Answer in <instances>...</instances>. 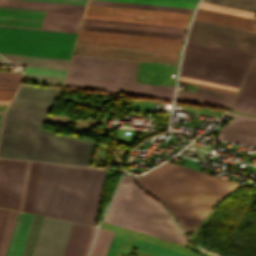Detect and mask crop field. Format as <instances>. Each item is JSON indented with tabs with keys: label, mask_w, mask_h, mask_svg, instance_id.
<instances>
[{
	"label": "crop field",
	"mask_w": 256,
	"mask_h": 256,
	"mask_svg": "<svg viewBox=\"0 0 256 256\" xmlns=\"http://www.w3.org/2000/svg\"><path fill=\"white\" fill-rule=\"evenodd\" d=\"M130 23V22H129ZM151 25V24H150ZM172 27V26H171ZM182 28V27H181Z\"/></svg>",
	"instance_id": "89e229c0"
},
{
	"label": "crop field",
	"mask_w": 256,
	"mask_h": 256,
	"mask_svg": "<svg viewBox=\"0 0 256 256\" xmlns=\"http://www.w3.org/2000/svg\"><path fill=\"white\" fill-rule=\"evenodd\" d=\"M253 57L187 41L180 75L239 87Z\"/></svg>",
	"instance_id": "dd49c442"
},
{
	"label": "crop field",
	"mask_w": 256,
	"mask_h": 256,
	"mask_svg": "<svg viewBox=\"0 0 256 256\" xmlns=\"http://www.w3.org/2000/svg\"><path fill=\"white\" fill-rule=\"evenodd\" d=\"M14 64L66 69L69 60L29 56L5 55Z\"/></svg>",
	"instance_id": "92a150f3"
},
{
	"label": "crop field",
	"mask_w": 256,
	"mask_h": 256,
	"mask_svg": "<svg viewBox=\"0 0 256 256\" xmlns=\"http://www.w3.org/2000/svg\"><path fill=\"white\" fill-rule=\"evenodd\" d=\"M95 229H96V227H94V226L91 227V231H90V234H89V237H88V241H87L83 256H86V254H87V251H88V248H89L90 242L92 240Z\"/></svg>",
	"instance_id": "5d738f31"
},
{
	"label": "crop field",
	"mask_w": 256,
	"mask_h": 256,
	"mask_svg": "<svg viewBox=\"0 0 256 256\" xmlns=\"http://www.w3.org/2000/svg\"><path fill=\"white\" fill-rule=\"evenodd\" d=\"M31 214H24L23 220H22V224L16 239V243L12 252L11 256H21V252L24 246V242L28 233V229L31 223V219H32Z\"/></svg>",
	"instance_id": "730fd06b"
},
{
	"label": "crop field",
	"mask_w": 256,
	"mask_h": 256,
	"mask_svg": "<svg viewBox=\"0 0 256 256\" xmlns=\"http://www.w3.org/2000/svg\"><path fill=\"white\" fill-rule=\"evenodd\" d=\"M59 93L21 85L5 115L0 156L90 166L95 142L41 129Z\"/></svg>",
	"instance_id": "8a807250"
},
{
	"label": "crop field",
	"mask_w": 256,
	"mask_h": 256,
	"mask_svg": "<svg viewBox=\"0 0 256 256\" xmlns=\"http://www.w3.org/2000/svg\"><path fill=\"white\" fill-rule=\"evenodd\" d=\"M179 79L196 82V83H201V84H206V85L215 86V87H220V88H225V89H230V90H235V91L238 90L237 87H232V86H227V85H222V84H217V83H212V82H207V81H202V80H197V79H192V78H187V77H182V76H180Z\"/></svg>",
	"instance_id": "b80d0937"
},
{
	"label": "crop field",
	"mask_w": 256,
	"mask_h": 256,
	"mask_svg": "<svg viewBox=\"0 0 256 256\" xmlns=\"http://www.w3.org/2000/svg\"><path fill=\"white\" fill-rule=\"evenodd\" d=\"M175 102L227 109L230 100L177 90Z\"/></svg>",
	"instance_id": "214f88e0"
},
{
	"label": "crop field",
	"mask_w": 256,
	"mask_h": 256,
	"mask_svg": "<svg viewBox=\"0 0 256 256\" xmlns=\"http://www.w3.org/2000/svg\"><path fill=\"white\" fill-rule=\"evenodd\" d=\"M203 1L256 12V0H203Z\"/></svg>",
	"instance_id": "d3111659"
},
{
	"label": "crop field",
	"mask_w": 256,
	"mask_h": 256,
	"mask_svg": "<svg viewBox=\"0 0 256 256\" xmlns=\"http://www.w3.org/2000/svg\"><path fill=\"white\" fill-rule=\"evenodd\" d=\"M194 93H200V94H205V95H210V96H216V97L226 98V99H230V100H232L233 97H234L233 94H228V93H224V92L204 89V88H200V87H198L197 91L194 92Z\"/></svg>",
	"instance_id": "e1f06a70"
},
{
	"label": "crop field",
	"mask_w": 256,
	"mask_h": 256,
	"mask_svg": "<svg viewBox=\"0 0 256 256\" xmlns=\"http://www.w3.org/2000/svg\"><path fill=\"white\" fill-rule=\"evenodd\" d=\"M194 19L256 32V22L253 19L206 9L199 8Z\"/></svg>",
	"instance_id": "733c2abd"
},
{
	"label": "crop field",
	"mask_w": 256,
	"mask_h": 256,
	"mask_svg": "<svg viewBox=\"0 0 256 256\" xmlns=\"http://www.w3.org/2000/svg\"><path fill=\"white\" fill-rule=\"evenodd\" d=\"M8 211L9 210H7V209L0 208V237H1V234H2V231L4 228V224H5V221L7 218Z\"/></svg>",
	"instance_id": "c035e120"
},
{
	"label": "crop field",
	"mask_w": 256,
	"mask_h": 256,
	"mask_svg": "<svg viewBox=\"0 0 256 256\" xmlns=\"http://www.w3.org/2000/svg\"><path fill=\"white\" fill-rule=\"evenodd\" d=\"M180 52L77 42L74 54L177 64Z\"/></svg>",
	"instance_id": "d1516ede"
},
{
	"label": "crop field",
	"mask_w": 256,
	"mask_h": 256,
	"mask_svg": "<svg viewBox=\"0 0 256 256\" xmlns=\"http://www.w3.org/2000/svg\"><path fill=\"white\" fill-rule=\"evenodd\" d=\"M90 227L44 217L33 256H82Z\"/></svg>",
	"instance_id": "d8731c3e"
},
{
	"label": "crop field",
	"mask_w": 256,
	"mask_h": 256,
	"mask_svg": "<svg viewBox=\"0 0 256 256\" xmlns=\"http://www.w3.org/2000/svg\"><path fill=\"white\" fill-rule=\"evenodd\" d=\"M9 101H0V104H8Z\"/></svg>",
	"instance_id": "425ffa30"
},
{
	"label": "crop field",
	"mask_w": 256,
	"mask_h": 256,
	"mask_svg": "<svg viewBox=\"0 0 256 256\" xmlns=\"http://www.w3.org/2000/svg\"><path fill=\"white\" fill-rule=\"evenodd\" d=\"M25 163L0 158V207L17 210Z\"/></svg>",
	"instance_id": "cbeb9de0"
},
{
	"label": "crop field",
	"mask_w": 256,
	"mask_h": 256,
	"mask_svg": "<svg viewBox=\"0 0 256 256\" xmlns=\"http://www.w3.org/2000/svg\"><path fill=\"white\" fill-rule=\"evenodd\" d=\"M105 171L41 163L32 213L95 225Z\"/></svg>",
	"instance_id": "34b2d1b8"
},
{
	"label": "crop field",
	"mask_w": 256,
	"mask_h": 256,
	"mask_svg": "<svg viewBox=\"0 0 256 256\" xmlns=\"http://www.w3.org/2000/svg\"><path fill=\"white\" fill-rule=\"evenodd\" d=\"M114 233L100 228L90 256H105Z\"/></svg>",
	"instance_id": "a9b5d70f"
},
{
	"label": "crop field",
	"mask_w": 256,
	"mask_h": 256,
	"mask_svg": "<svg viewBox=\"0 0 256 256\" xmlns=\"http://www.w3.org/2000/svg\"><path fill=\"white\" fill-rule=\"evenodd\" d=\"M2 116H3V113H0V127H1V122H2Z\"/></svg>",
	"instance_id": "25e5ab78"
},
{
	"label": "crop field",
	"mask_w": 256,
	"mask_h": 256,
	"mask_svg": "<svg viewBox=\"0 0 256 256\" xmlns=\"http://www.w3.org/2000/svg\"><path fill=\"white\" fill-rule=\"evenodd\" d=\"M23 214L24 213H21V212L18 213V217H17L16 223H15V227H14V230H13V233H12V237H11V240H10V243H9V247H8L6 256L11 255V252H12V249H13V246H14V243H15V239H16V236H17L20 224H21Z\"/></svg>",
	"instance_id": "028f5c9d"
},
{
	"label": "crop field",
	"mask_w": 256,
	"mask_h": 256,
	"mask_svg": "<svg viewBox=\"0 0 256 256\" xmlns=\"http://www.w3.org/2000/svg\"><path fill=\"white\" fill-rule=\"evenodd\" d=\"M136 181L170 210L184 232L193 233L213 206L242 185L169 162Z\"/></svg>",
	"instance_id": "ac0d7876"
},
{
	"label": "crop field",
	"mask_w": 256,
	"mask_h": 256,
	"mask_svg": "<svg viewBox=\"0 0 256 256\" xmlns=\"http://www.w3.org/2000/svg\"><path fill=\"white\" fill-rule=\"evenodd\" d=\"M87 3L102 4V5H113V6H123V7H134V8H144V9H155V10H165V11H176V12H186V13H191L192 10H193V9H188V8L146 5V4H136V3H125V2H115V1H104V0H88Z\"/></svg>",
	"instance_id": "dafd665d"
},
{
	"label": "crop field",
	"mask_w": 256,
	"mask_h": 256,
	"mask_svg": "<svg viewBox=\"0 0 256 256\" xmlns=\"http://www.w3.org/2000/svg\"><path fill=\"white\" fill-rule=\"evenodd\" d=\"M75 35L0 27V53L69 59Z\"/></svg>",
	"instance_id": "e52e79f7"
},
{
	"label": "crop field",
	"mask_w": 256,
	"mask_h": 256,
	"mask_svg": "<svg viewBox=\"0 0 256 256\" xmlns=\"http://www.w3.org/2000/svg\"><path fill=\"white\" fill-rule=\"evenodd\" d=\"M45 12L1 8L0 24L40 28ZM82 15L46 12L40 30L76 33ZM1 26V25H0ZM9 26V27H13ZM19 27V28H24ZM29 28V29H35Z\"/></svg>",
	"instance_id": "28ad6ade"
},
{
	"label": "crop field",
	"mask_w": 256,
	"mask_h": 256,
	"mask_svg": "<svg viewBox=\"0 0 256 256\" xmlns=\"http://www.w3.org/2000/svg\"><path fill=\"white\" fill-rule=\"evenodd\" d=\"M41 216H33L32 223L29 229V233L26 239V243L22 252V256H32L33 249L35 246V242L37 239V235L40 229V225L42 222Z\"/></svg>",
	"instance_id": "4177f3b9"
},
{
	"label": "crop field",
	"mask_w": 256,
	"mask_h": 256,
	"mask_svg": "<svg viewBox=\"0 0 256 256\" xmlns=\"http://www.w3.org/2000/svg\"><path fill=\"white\" fill-rule=\"evenodd\" d=\"M81 25L185 34L186 29L83 19Z\"/></svg>",
	"instance_id": "bc2a9ffb"
},
{
	"label": "crop field",
	"mask_w": 256,
	"mask_h": 256,
	"mask_svg": "<svg viewBox=\"0 0 256 256\" xmlns=\"http://www.w3.org/2000/svg\"><path fill=\"white\" fill-rule=\"evenodd\" d=\"M15 90H0V100H11Z\"/></svg>",
	"instance_id": "03da06ac"
},
{
	"label": "crop field",
	"mask_w": 256,
	"mask_h": 256,
	"mask_svg": "<svg viewBox=\"0 0 256 256\" xmlns=\"http://www.w3.org/2000/svg\"><path fill=\"white\" fill-rule=\"evenodd\" d=\"M199 7L210 9V10H215V11H220V12H225V13H229V14L244 16V17L253 18V19H255V15H256L255 12H250V11H245V10H240V9H235V8H229V7H224V6H219V5H214V4L204 3V2H201Z\"/></svg>",
	"instance_id": "bd1437ed"
},
{
	"label": "crop field",
	"mask_w": 256,
	"mask_h": 256,
	"mask_svg": "<svg viewBox=\"0 0 256 256\" xmlns=\"http://www.w3.org/2000/svg\"><path fill=\"white\" fill-rule=\"evenodd\" d=\"M4 59V58H3ZM2 58H0V64H9L8 62H6L5 60H3Z\"/></svg>",
	"instance_id": "d23c7cc5"
},
{
	"label": "crop field",
	"mask_w": 256,
	"mask_h": 256,
	"mask_svg": "<svg viewBox=\"0 0 256 256\" xmlns=\"http://www.w3.org/2000/svg\"><path fill=\"white\" fill-rule=\"evenodd\" d=\"M183 39L80 29L77 41L180 51Z\"/></svg>",
	"instance_id": "22f410ed"
},
{
	"label": "crop field",
	"mask_w": 256,
	"mask_h": 256,
	"mask_svg": "<svg viewBox=\"0 0 256 256\" xmlns=\"http://www.w3.org/2000/svg\"><path fill=\"white\" fill-rule=\"evenodd\" d=\"M25 72L64 76L66 70L26 66Z\"/></svg>",
	"instance_id": "5866460e"
},
{
	"label": "crop field",
	"mask_w": 256,
	"mask_h": 256,
	"mask_svg": "<svg viewBox=\"0 0 256 256\" xmlns=\"http://www.w3.org/2000/svg\"><path fill=\"white\" fill-rule=\"evenodd\" d=\"M137 64L72 55L64 87L172 101L174 87L134 83Z\"/></svg>",
	"instance_id": "412701ff"
},
{
	"label": "crop field",
	"mask_w": 256,
	"mask_h": 256,
	"mask_svg": "<svg viewBox=\"0 0 256 256\" xmlns=\"http://www.w3.org/2000/svg\"><path fill=\"white\" fill-rule=\"evenodd\" d=\"M135 247L139 250H142L157 256H188V255L174 252L172 250H169L160 246H156L141 240H139L136 243Z\"/></svg>",
	"instance_id": "ae1a2a85"
},
{
	"label": "crop field",
	"mask_w": 256,
	"mask_h": 256,
	"mask_svg": "<svg viewBox=\"0 0 256 256\" xmlns=\"http://www.w3.org/2000/svg\"><path fill=\"white\" fill-rule=\"evenodd\" d=\"M230 109L256 115V58Z\"/></svg>",
	"instance_id": "d9b57169"
},
{
	"label": "crop field",
	"mask_w": 256,
	"mask_h": 256,
	"mask_svg": "<svg viewBox=\"0 0 256 256\" xmlns=\"http://www.w3.org/2000/svg\"><path fill=\"white\" fill-rule=\"evenodd\" d=\"M80 28L95 29V30H106V31H116V32H126V33H137V34H147V35L168 36V37H178V38H183V36H184V35H179V34H167V33H156V32L132 31V30L109 29V28L86 27V26H81Z\"/></svg>",
	"instance_id": "120bbe31"
},
{
	"label": "crop field",
	"mask_w": 256,
	"mask_h": 256,
	"mask_svg": "<svg viewBox=\"0 0 256 256\" xmlns=\"http://www.w3.org/2000/svg\"><path fill=\"white\" fill-rule=\"evenodd\" d=\"M17 213L18 212L16 211H9L8 218L0 241V256H5L8 243L11 237V233L14 227V223L17 217Z\"/></svg>",
	"instance_id": "eef30255"
},
{
	"label": "crop field",
	"mask_w": 256,
	"mask_h": 256,
	"mask_svg": "<svg viewBox=\"0 0 256 256\" xmlns=\"http://www.w3.org/2000/svg\"><path fill=\"white\" fill-rule=\"evenodd\" d=\"M40 163L32 162L23 211L31 213Z\"/></svg>",
	"instance_id": "00972430"
},
{
	"label": "crop field",
	"mask_w": 256,
	"mask_h": 256,
	"mask_svg": "<svg viewBox=\"0 0 256 256\" xmlns=\"http://www.w3.org/2000/svg\"><path fill=\"white\" fill-rule=\"evenodd\" d=\"M27 75L33 77L34 79L46 83V84H52V85H62V81L64 77H59V76H49V75H39V74H29L26 73Z\"/></svg>",
	"instance_id": "d32e631a"
},
{
	"label": "crop field",
	"mask_w": 256,
	"mask_h": 256,
	"mask_svg": "<svg viewBox=\"0 0 256 256\" xmlns=\"http://www.w3.org/2000/svg\"><path fill=\"white\" fill-rule=\"evenodd\" d=\"M104 221L183 245L188 241L168 212L139 189L130 175L123 177Z\"/></svg>",
	"instance_id": "f4fd0767"
},
{
	"label": "crop field",
	"mask_w": 256,
	"mask_h": 256,
	"mask_svg": "<svg viewBox=\"0 0 256 256\" xmlns=\"http://www.w3.org/2000/svg\"><path fill=\"white\" fill-rule=\"evenodd\" d=\"M115 1L178 6V7H188V8H193L195 5V3H191V2H180V1H170V0H115Z\"/></svg>",
	"instance_id": "1d83c4d3"
},
{
	"label": "crop field",
	"mask_w": 256,
	"mask_h": 256,
	"mask_svg": "<svg viewBox=\"0 0 256 256\" xmlns=\"http://www.w3.org/2000/svg\"><path fill=\"white\" fill-rule=\"evenodd\" d=\"M190 15L87 4L83 17L187 27Z\"/></svg>",
	"instance_id": "3316defc"
},
{
	"label": "crop field",
	"mask_w": 256,
	"mask_h": 256,
	"mask_svg": "<svg viewBox=\"0 0 256 256\" xmlns=\"http://www.w3.org/2000/svg\"><path fill=\"white\" fill-rule=\"evenodd\" d=\"M23 77L21 73L0 71V89H17Z\"/></svg>",
	"instance_id": "750c4746"
},
{
	"label": "crop field",
	"mask_w": 256,
	"mask_h": 256,
	"mask_svg": "<svg viewBox=\"0 0 256 256\" xmlns=\"http://www.w3.org/2000/svg\"><path fill=\"white\" fill-rule=\"evenodd\" d=\"M0 6L82 14L84 6L26 0H0Z\"/></svg>",
	"instance_id": "4a817a6b"
},
{
	"label": "crop field",
	"mask_w": 256,
	"mask_h": 256,
	"mask_svg": "<svg viewBox=\"0 0 256 256\" xmlns=\"http://www.w3.org/2000/svg\"><path fill=\"white\" fill-rule=\"evenodd\" d=\"M178 82L236 94L235 91H230V90H225V89L210 87V86H206V85H201V84H196V83H191V82H186V81H181V80H179Z\"/></svg>",
	"instance_id": "b54c1fbb"
},
{
	"label": "crop field",
	"mask_w": 256,
	"mask_h": 256,
	"mask_svg": "<svg viewBox=\"0 0 256 256\" xmlns=\"http://www.w3.org/2000/svg\"><path fill=\"white\" fill-rule=\"evenodd\" d=\"M189 41L256 53V33L221 25L193 21Z\"/></svg>",
	"instance_id": "5a996713"
},
{
	"label": "crop field",
	"mask_w": 256,
	"mask_h": 256,
	"mask_svg": "<svg viewBox=\"0 0 256 256\" xmlns=\"http://www.w3.org/2000/svg\"><path fill=\"white\" fill-rule=\"evenodd\" d=\"M180 1H191V2H196L197 0H180Z\"/></svg>",
	"instance_id": "73cf0c24"
},
{
	"label": "crop field",
	"mask_w": 256,
	"mask_h": 256,
	"mask_svg": "<svg viewBox=\"0 0 256 256\" xmlns=\"http://www.w3.org/2000/svg\"><path fill=\"white\" fill-rule=\"evenodd\" d=\"M37 1H47V2H58V3H69V4L84 5L86 0H37Z\"/></svg>",
	"instance_id": "c21b1889"
},
{
	"label": "crop field",
	"mask_w": 256,
	"mask_h": 256,
	"mask_svg": "<svg viewBox=\"0 0 256 256\" xmlns=\"http://www.w3.org/2000/svg\"><path fill=\"white\" fill-rule=\"evenodd\" d=\"M235 116L221 130L219 140L256 146V117L234 113H225Z\"/></svg>",
	"instance_id": "5142ce71"
},
{
	"label": "crop field",
	"mask_w": 256,
	"mask_h": 256,
	"mask_svg": "<svg viewBox=\"0 0 256 256\" xmlns=\"http://www.w3.org/2000/svg\"><path fill=\"white\" fill-rule=\"evenodd\" d=\"M31 162L27 161L18 210L22 211Z\"/></svg>",
	"instance_id": "0bd39190"
}]
</instances>
